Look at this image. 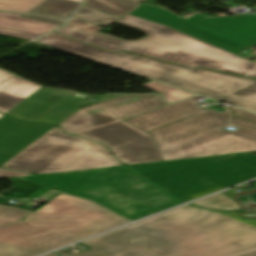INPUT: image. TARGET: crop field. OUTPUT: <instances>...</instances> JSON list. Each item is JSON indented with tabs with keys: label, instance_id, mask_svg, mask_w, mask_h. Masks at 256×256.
<instances>
[{
	"label": "crop field",
	"instance_id": "obj_30",
	"mask_svg": "<svg viewBox=\"0 0 256 256\" xmlns=\"http://www.w3.org/2000/svg\"><path fill=\"white\" fill-rule=\"evenodd\" d=\"M72 1L79 2V3H81V2H82V0H72Z\"/></svg>",
	"mask_w": 256,
	"mask_h": 256
},
{
	"label": "crop field",
	"instance_id": "obj_2",
	"mask_svg": "<svg viewBox=\"0 0 256 256\" xmlns=\"http://www.w3.org/2000/svg\"><path fill=\"white\" fill-rule=\"evenodd\" d=\"M226 107L235 132L222 130L227 111L200 109L192 98L126 121L152 135L164 161L256 151V114Z\"/></svg>",
	"mask_w": 256,
	"mask_h": 256
},
{
	"label": "crop field",
	"instance_id": "obj_31",
	"mask_svg": "<svg viewBox=\"0 0 256 256\" xmlns=\"http://www.w3.org/2000/svg\"><path fill=\"white\" fill-rule=\"evenodd\" d=\"M3 116V114L0 113V117Z\"/></svg>",
	"mask_w": 256,
	"mask_h": 256
},
{
	"label": "crop field",
	"instance_id": "obj_7",
	"mask_svg": "<svg viewBox=\"0 0 256 256\" xmlns=\"http://www.w3.org/2000/svg\"><path fill=\"white\" fill-rule=\"evenodd\" d=\"M189 201L256 177V157L249 153L130 166Z\"/></svg>",
	"mask_w": 256,
	"mask_h": 256
},
{
	"label": "crop field",
	"instance_id": "obj_27",
	"mask_svg": "<svg viewBox=\"0 0 256 256\" xmlns=\"http://www.w3.org/2000/svg\"><path fill=\"white\" fill-rule=\"evenodd\" d=\"M242 196H244V197H246L248 199H251V200L256 202V192L252 193V194L242 195Z\"/></svg>",
	"mask_w": 256,
	"mask_h": 256
},
{
	"label": "crop field",
	"instance_id": "obj_4",
	"mask_svg": "<svg viewBox=\"0 0 256 256\" xmlns=\"http://www.w3.org/2000/svg\"><path fill=\"white\" fill-rule=\"evenodd\" d=\"M117 22L143 30L148 36L140 41H122L96 32L103 28L75 17L55 32L115 53L123 49L192 68L202 66L256 78V60L252 63L235 57L171 28L129 15Z\"/></svg>",
	"mask_w": 256,
	"mask_h": 256
},
{
	"label": "crop field",
	"instance_id": "obj_10",
	"mask_svg": "<svg viewBox=\"0 0 256 256\" xmlns=\"http://www.w3.org/2000/svg\"><path fill=\"white\" fill-rule=\"evenodd\" d=\"M77 135L106 144L127 165L163 161L151 135L125 121Z\"/></svg>",
	"mask_w": 256,
	"mask_h": 256
},
{
	"label": "crop field",
	"instance_id": "obj_29",
	"mask_svg": "<svg viewBox=\"0 0 256 256\" xmlns=\"http://www.w3.org/2000/svg\"><path fill=\"white\" fill-rule=\"evenodd\" d=\"M45 256H58V255L55 252H53V253H50V254L45 255Z\"/></svg>",
	"mask_w": 256,
	"mask_h": 256
},
{
	"label": "crop field",
	"instance_id": "obj_26",
	"mask_svg": "<svg viewBox=\"0 0 256 256\" xmlns=\"http://www.w3.org/2000/svg\"><path fill=\"white\" fill-rule=\"evenodd\" d=\"M12 74L0 70V83L10 77Z\"/></svg>",
	"mask_w": 256,
	"mask_h": 256
},
{
	"label": "crop field",
	"instance_id": "obj_19",
	"mask_svg": "<svg viewBox=\"0 0 256 256\" xmlns=\"http://www.w3.org/2000/svg\"><path fill=\"white\" fill-rule=\"evenodd\" d=\"M75 17L95 23L100 26H109L120 19L99 10L83 5L75 14Z\"/></svg>",
	"mask_w": 256,
	"mask_h": 256
},
{
	"label": "crop field",
	"instance_id": "obj_3",
	"mask_svg": "<svg viewBox=\"0 0 256 256\" xmlns=\"http://www.w3.org/2000/svg\"><path fill=\"white\" fill-rule=\"evenodd\" d=\"M127 222L92 202L58 195L24 221L0 227V256H35Z\"/></svg>",
	"mask_w": 256,
	"mask_h": 256
},
{
	"label": "crop field",
	"instance_id": "obj_20",
	"mask_svg": "<svg viewBox=\"0 0 256 256\" xmlns=\"http://www.w3.org/2000/svg\"><path fill=\"white\" fill-rule=\"evenodd\" d=\"M193 204H198L201 206H205L211 209H215V210H234V209H242L245 210L241 207H239L233 200L231 197L221 193V194H217L215 196L209 197V198H205L199 201L194 202ZM254 210H256V208H254ZM245 211H250L245 210Z\"/></svg>",
	"mask_w": 256,
	"mask_h": 256
},
{
	"label": "crop field",
	"instance_id": "obj_18",
	"mask_svg": "<svg viewBox=\"0 0 256 256\" xmlns=\"http://www.w3.org/2000/svg\"><path fill=\"white\" fill-rule=\"evenodd\" d=\"M79 3L68 0H48L43 5L32 10L31 14L70 17Z\"/></svg>",
	"mask_w": 256,
	"mask_h": 256
},
{
	"label": "crop field",
	"instance_id": "obj_13",
	"mask_svg": "<svg viewBox=\"0 0 256 256\" xmlns=\"http://www.w3.org/2000/svg\"><path fill=\"white\" fill-rule=\"evenodd\" d=\"M69 96H71L70 91L43 87L7 115L24 121L37 122Z\"/></svg>",
	"mask_w": 256,
	"mask_h": 256
},
{
	"label": "crop field",
	"instance_id": "obj_15",
	"mask_svg": "<svg viewBox=\"0 0 256 256\" xmlns=\"http://www.w3.org/2000/svg\"><path fill=\"white\" fill-rule=\"evenodd\" d=\"M41 87L18 76H11L0 84V111L6 114Z\"/></svg>",
	"mask_w": 256,
	"mask_h": 256
},
{
	"label": "crop field",
	"instance_id": "obj_6",
	"mask_svg": "<svg viewBox=\"0 0 256 256\" xmlns=\"http://www.w3.org/2000/svg\"><path fill=\"white\" fill-rule=\"evenodd\" d=\"M17 178L92 199L131 220L185 203L125 166Z\"/></svg>",
	"mask_w": 256,
	"mask_h": 256
},
{
	"label": "crop field",
	"instance_id": "obj_28",
	"mask_svg": "<svg viewBox=\"0 0 256 256\" xmlns=\"http://www.w3.org/2000/svg\"><path fill=\"white\" fill-rule=\"evenodd\" d=\"M242 256H256V251L242 255Z\"/></svg>",
	"mask_w": 256,
	"mask_h": 256
},
{
	"label": "crop field",
	"instance_id": "obj_9",
	"mask_svg": "<svg viewBox=\"0 0 256 256\" xmlns=\"http://www.w3.org/2000/svg\"><path fill=\"white\" fill-rule=\"evenodd\" d=\"M130 14L168 25L236 55L246 47L256 45L255 15L206 18L196 14L184 19L145 4Z\"/></svg>",
	"mask_w": 256,
	"mask_h": 256
},
{
	"label": "crop field",
	"instance_id": "obj_24",
	"mask_svg": "<svg viewBox=\"0 0 256 256\" xmlns=\"http://www.w3.org/2000/svg\"><path fill=\"white\" fill-rule=\"evenodd\" d=\"M27 175H32V174L31 173H25V172L6 170V169H1L0 168V178L27 176Z\"/></svg>",
	"mask_w": 256,
	"mask_h": 256
},
{
	"label": "crop field",
	"instance_id": "obj_21",
	"mask_svg": "<svg viewBox=\"0 0 256 256\" xmlns=\"http://www.w3.org/2000/svg\"><path fill=\"white\" fill-rule=\"evenodd\" d=\"M141 86H144L148 89L161 93L168 103L194 95V94L187 93V92H184V91H181V90H178L154 81L145 83Z\"/></svg>",
	"mask_w": 256,
	"mask_h": 256
},
{
	"label": "crop field",
	"instance_id": "obj_22",
	"mask_svg": "<svg viewBox=\"0 0 256 256\" xmlns=\"http://www.w3.org/2000/svg\"><path fill=\"white\" fill-rule=\"evenodd\" d=\"M45 0H0V10L26 13Z\"/></svg>",
	"mask_w": 256,
	"mask_h": 256
},
{
	"label": "crop field",
	"instance_id": "obj_17",
	"mask_svg": "<svg viewBox=\"0 0 256 256\" xmlns=\"http://www.w3.org/2000/svg\"><path fill=\"white\" fill-rule=\"evenodd\" d=\"M138 1L139 0H85L84 4L121 17L139 6Z\"/></svg>",
	"mask_w": 256,
	"mask_h": 256
},
{
	"label": "crop field",
	"instance_id": "obj_5",
	"mask_svg": "<svg viewBox=\"0 0 256 256\" xmlns=\"http://www.w3.org/2000/svg\"><path fill=\"white\" fill-rule=\"evenodd\" d=\"M37 41L256 112V80L202 68L192 70L125 52L116 55L54 33Z\"/></svg>",
	"mask_w": 256,
	"mask_h": 256
},
{
	"label": "crop field",
	"instance_id": "obj_23",
	"mask_svg": "<svg viewBox=\"0 0 256 256\" xmlns=\"http://www.w3.org/2000/svg\"><path fill=\"white\" fill-rule=\"evenodd\" d=\"M31 212L11 206H0V226L17 221Z\"/></svg>",
	"mask_w": 256,
	"mask_h": 256
},
{
	"label": "crop field",
	"instance_id": "obj_8",
	"mask_svg": "<svg viewBox=\"0 0 256 256\" xmlns=\"http://www.w3.org/2000/svg\"><path fill=\"white\" fill-rule=\"evenodd\" d=\"M119 165L123 164L101 144L63 134L55 127L3 167L45 174Z\"/></svg>",
	"mask_w": 256,
	"mask_h": 256
},
{
	"label": "crop field",
	"instance_id": "obj_25",
	"mask_svg": "<svg viewBox=\"0 0 256 256\" xmlns=\"http://www.w3.org/2000/svg\"><path fill=\"white\" fill-rule=\"evenodd\" d=\"M25 17L34 18V19L43 20V21H48V22H52V23H57V24H60V25H63L65 22H67L66 19L48 18V17L34 16V15H25Z\"/></svg>",
	"mask_w": 256,
	"mask_h": 256
},
{
	"label": "crop field",
	"instance_id": "obj_12",
	"mask_svg": "<svg viewBox=\"0 0 256 256\" xmlns=\"http://www.w3.org/2000/svg\"><path fill=\"white\" fill-rule=\"evenodd\" d=\"M53 125L32 124L4 115L0 118V166L35 142Z\"/></svg>",
	"mask_w": 256,
	"mask_h": 256
},
{
	"label": "crop field",
	"instance_id": "obj_11",
	"mask_svg": "<svg viewBox=\"0 0 256 256\" xmlns=\"http://www.w3.org/2000/svg\"><path fill=\"white\" fill-rule=\"evenodd\" d=\"M162 105L165 103L156 95H128L82 108L59 126L73 134Z\"/></svg>",
	"mask_w": 256,
	"mask_h": 256
},
{
	"label": "crop field",
	"instance_id": "obj_1",
	"mask_svg": "<svg viewBox=\"0 0 256 256\" xmlns=\"http://www.w3.org/2000/svg\"><path fill=\"white\" fill-rule=\"evenodd\" d=\"M82 243L64 256H239L256 250V219L187 205Z\"/></svg>",
	"mask_w": 256,
	"mask_h": 256
},
{
	"label": "crop field",
	"instance_id": "obj_14",
	"mask_svg": "<svg viewBox=\"0 0 256 256\" xmlns=\"http://www.w3.org/2000/svg\"><path fill=\"white\" fill-rule=\"evenodd\" d=\"M21 16L19 13L0 12V34L33 40L60 27Z\"/></svg>",
	"mask_w": 256,
	"mask_h": 256
},
{
	"label": "crop field",
	"instance_id": "obj_16",
	"mask_svg": "<svg viewBox=\"0 0 256 256\" xmlns=\"http://www.w3.org/2000/svg\"><path fill=\"white\" fill-rule=\"evenodd\" d=\"M120 96H124V95H110V96L97 99L93 102L72 97L71 99L67 100L65 103H63L61 106H59L57 109H55L53 112H51L49 115H47L45 118H43L39 122H47V123H53L58 125L61 122H63L65 119H67L69 116H71L73 113H75L77 110H79L81 107L92 105L98 102L111 100Z\"/></svg>",
	"mask_w": 256,
	"mask_h": 256
}]
</instances>
